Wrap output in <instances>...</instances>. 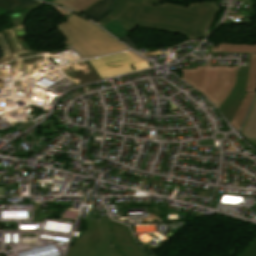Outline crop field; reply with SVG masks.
Returning <instances> with one entry per match:
<instances>
[{
  "label": "crop field",
  "mask_w": 256,
  "mask_h": 256,
  "mask_svg": "<svg viewBox=\"0 0 256 256\" xmlns=\"http://www.w3.org/2000/svg\"><path fill=\"white\" fill-rule=\"evenodd\" d=\"M220 10L212 2L195 3L184 9L161 0H119L112 13L98 24L103 27L116 19L128 33L139 26L182 34L189 41L203 38L206 27Z\"/></svg>",
  "instance_id": "8a807250"
},
{
  "label": "crop field",
  "mask_w": 256,
  "mask_h": 256,
  "mask_svg": "<svg viewBox=\"0 0 256 256\" xmlns=\"http://www.w3.org/2000/svg\"><path fill=\"white\" fill-rule=\"evenodd\" d=\"M87 232L69 247L66 256H147L128 226L108 218L86 220Z\"/></svg>",
  "instance_id": "ac0d7876"
},
{
  "label": "crop field",
  "mask_w": 256,
  "mask_h": 256,
  "mask_svg": "<svg viewBox=\"0 0 256 256\" xmlns=\"http://www.w3.org/2000/svg\"><path fill=\"white\" fill-rule=\"evenodd\" d=\"M71 46L85 58L128 49L97 26L75 14L56 26Z\"/></svg>",
  "instance_id": "34b2d1b8"
},
{
  "label": "crop field",
  "mask_w": 256,
  "mask_h": 256,
  "mask_svg": "<svg viewBox=\"0 0 256 256\" xmlns=\"http://www.w3.org/2000/svg\"><path fill=\"white\" fill-rule=\"evenodd\" d=\"M183 80L219 108L236 82V67H198L197 70H183Z\"/></svg>",
  "instance_id": "412701ff"
},
{
  "label": "crop field",
  "mask_w": 256,
  "mask_h": 256,
  "mask_svg": "<svg viewBox=\"0 0 256 256\" xmlns=\"http://www.w3.org/2000/svg\"><path fill=\"white\" fill-rule=\"evenodd\" d=\"M237 70V83L235 84L232 92L225 100V102L220 107V112L228 119L230 122L236 111L238 110L240 104L242 103L246 93H244L247 76L249 72V67H238ZM226 119V120H227Z\"/></svg>",
  "instance_id": "f4fd0767"
},
{
  "label": "crop field",
  "mask_w": 256,
  "mask_h": 256,
  "mask_svg": "<svg viewBox=\"0 0 256 256\" xmlns=\"http://www.w3.org/2000/svg\"><path fill=\"white\" fill-rule=\"evenodd\" d=\"M96 69L99 76L115 75L118 73L131 71L130 64L134 61L126 53L113 56L101 57L89 61Z\"/></svg>",
  "instance_id": "dd49c442"
},
{
  "label": "crop field",
  "mask_w": 256,
  "mask_h": 256,
  "mask_svg": "<svg viewBox=\"0 0 256 256\" xmlns=\"http://www.w3.org/2000/svg\"><path fill=\"white\" fill-rule=\"evenodd\" d=\"M245 92L248 93L243 103L241 104L238 112L236 113L234 119L230 123L238 131H240L241 129V125L256 94V54H252L251 57L250 72Z\"/></svg>",
  "instance_id": "e52e79f7"
},
{
  "label": "crop field",
  "mask_w": 256,
  "mask_h": 256,
  "mask_svg": "<svg viewBox=\"0 0 256 256\" xmlns=\"http://www.w3.org/2000/svg\"><path fill=\"white\" fill-rule=\"evenodd\" d=\"M117 2L118 0H102L82 15L97 23L110 14Z\"/></svg>",
  "instance_id": "d8731c3e"
},
{
  "label": "crop field",
  "mask_w": 256,
  "mask_h": 256,
  "mask_svg": "<svg viewBox=\"0 0 256 256\" xmlns=\"http://www.w3.org/2000/svg\"><path fill=\"white\" fill-rule=\"evenodd\" d=\"M99 1L100 0H51L49 2L72 9L81 14Z\"/></svg>",
  "instance_id": "5a996713"
},
{
  "label": "crop field",
  "mask_w": 256,
  "mask_h": 256,
  "mask_svg": "<svg viewBox=\"0 0 256 256\" xmlns=\"http://www.w3.org/2000/svg\"><path fill=\"white\" fill-rule=\"evenodd\" d=\"M242 134L245 138L256 139V101L248 115Z\"/></svg>",
  "instance_id": "3316defc"
},
{
  "label": "crop field",
  "mask_w": 256,
  "mask_h": 256,
  "mask_svg": "<svg viewBox=\"0 0 256 256\" xmlns=\"http://www.w3.org/2000/svg\"><path fill=\"white\" fill-rule=\"evenodd\" d=\"M212 52L256 53V45L218 44L217 50H212Z\"/></svg>",
  "instance_id": "28ad6ade"
},
{
  "label": "crop field",
  "mask_w": 256,
  "mask_h": 256,
  "mask_svg": "<svg viewBox=\"0 0 256 256\" xmlns=\"http://www.w3.org/2000/svg\"><path fill=\"white\" fill-rule=\"evenodd\" d=\"M36 0H0V7L11 11H20L16 7L36 3Z\"/></svg>",
  "instance_id": "d1516ede"
},
{
  "label": "crop field",
  "mask_w": 256,
  "mask_h": 256,
  "mask_svg": "<svg viewBox=\"0 0 256 256\" xmlns=\"http://www.w3.org/2000/svg\"><path fill=\"white\" fill-rule=\"evenodd\" d=\"M104 28L119 38L125 34H128L116 20L107 24Z\"/></svg>",
  "instance_id": "22f410ed"
},
{
  "label": "crop field",
  "mask_w": 256,
  "mask_h": 256,
  "mask_svg": "<svg viewBox=\"0 0 256 256\" xmlns=\"http://www.w3.org/2000/svg\"><path fill=\"white\" fill-rule=\"evenodd\" d=\"M27 7H28V5L23 6V7H19V9L23 11V12H20L21 16L11 18L10 14L7 15L8 19L12 22L14 27L22 25L23 20L29 14V12L25 11V9H24V8H27Z\"/></svg>",
  "instance_id": "cbeb9de0"
},
{
  "label": "crop field",
  "mask_w": 256,
  "mask_h": 256,
  "mask_svg": "<svg viewBox=\"0 0 256 256\" xmlns=\"http://www.w3.org/2000/svg\"><path fill=\"white\" fill-rule=\"evenodd\" d=\"M240 256H256V237L250 242Z\"/></svg>",
  "instance_id": "5142ce71"
},
{
  "label": "crop field",
  "mask_w": 256,
  "mask_h": 256,
  "mask_svg": "<svg viewBox=\"0 0 256 256\" xmlns=\"http://www.w3.org/2000/svg\"><path fill=\"white\" fill-rule=\"evenodd\" d=\"M0 46L4 55L11 53L2 32H0Z\"/></svg>",
  "instance_id": "d9b57169"
},
{
  "label": "crop field",
  "mask_w": 256,
  "mask_h": 256,
  "mask_svg": "<svg viewBox=\"0 0 256 256\" xmlns=\"http://www.w3.org/2000/svg\"><path fill=\"white\" fill-rule=\"evenodd\" d=\"M120 39H122L129 47H131L132 49H134V50H138L137 48H136V46L133 44V42L128 38V36L126 35V36H124V37H122V38H120ZM121 40V41H122Z\"/></svg>",
  "instance_id": "733c2abd"
},
{
  "label": "crop field",
  "mask_w": 256,
  "mask_h": 256,
  "mask_svg": "<svg viewBox=\"0 0 256 256\" xmlns=\"http://www.w3.org/2000/svg\"><path fill=\"white\" fill-rule=\"evenodd\" d=\"M8 13H11V12L8 11V10H4V9L0 8V15H5V14H8Z\"/></svg>",
  "instance_id": "4a817a6b"
},
{
  "label": "crop field",
  "mask_w": 256,
  "mask_h": 256,
  "mask_svg": "<svg viewBox=\"0 0 256 256\" xmlns=\"http://www.w3.org/2000/svg\"><path fill=\"white\" fill-rule=\"evenodd\" d=\"M0 196H4V188H0Z\"/></svg>",
  "instance_id": "bc2a9ffb"
},
{
  "label": "crop field",
  "mask_w": 256,
  "mask_h": 256,
  "mask_svg": "<svg viewBox=\"0 0 256 256\" xmlns=\"http://www.w3.org/2000/svg\"><path fill=\"white\" fill-rule=\"evenodd\" d=\"M248 141L256 147V141H251V140H248Z\"/></svg>",
  "instance_id": "214f88e0"
},
{
  "label": "crop field",
  "mask_w": 256,
  "mask_h": 256,
  "mask_svg": "<svg viewBox=\"0 0 256 256\" xmlns=\"http://www.w3.org/2000/svg\"><path fill=\"white\" fill-rule=\"evenodd\" d=\"M1 57H3V54H2V52H1V50H0V58H1Z\"/></svg>",
  "instance_id": "92a150f3"
},
{
  "label": "crop field",
  "mask_w": 256,
  "mask_h": 256,
  "mask_svg": "<svg viewBox=\"0 0 256 256\" xmlns=\"http://www.w3.org/2000/svg\"><path fill=\"white\" fill-rule=\"evenodd\" d=\"M46 1H49V0H46Z\"/></svg>",
  "instance_id": "dafd665d"
}]
</instances>
